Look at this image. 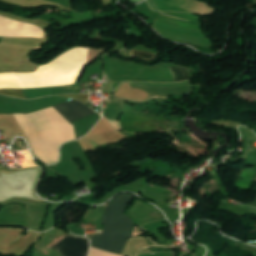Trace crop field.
Here are the masks:
<instances>
[{
    "label": "crop field",
    "instance_id": "obj_1",
    "mask_svg": "<svg viewBox=\"0 0 256 256\" xmlns=\"http://www.w3.org/2000/svg\"><path fill=\"white\" fill-rule=\"evenodd\" d=\"M131 199L132 196L119 195L116 199L107 203L102 218L104 231L100 235L92 236V247L112 253H120L125 238L132 236L134 228L131 220L122 214Z\"/></svg>",
    "mask_w": 256,
    "mask_h": 256
},
{
    "label": "crop field",
    "instance_id": "obj_2",
    "mask_svg": "<svg viewBox=\"0 0 256 256\" xmlns=\"http://www.w3.org/2000/svg\"><path fill=\"white\" fill-rule=\"evenodd\" d=\"M88 245L87 238L66 235L51 249L57 250L62 256H86Z\"/></svg>",
    "mask_w": 256,
    "mask_h": 256
},
{
    "label": "crop field",
    "instance_id": "obj_3",
    "mask_svg": "<svg viewBox=\"0 0 256 256\" xmlns=\"http://www.w3.org/2000/svg\"><path fill=\"white\" fill-rule=\"evenodd\" d=\"M0 37H41L33 27L0 16Z\"/></svg>",
    "mask_w": 256,
    "mask_h": 256
},
{
    "label": "crop field",
    "instance_id": "obj_4",
    "mask_svg": "<svg viewBox=\"0 0 256 256\" xmlns=\"http://www.w3.org/2000/svg\"><path fill=\"white\" fill-rule=\"evenodd\" d=\"M55 107L68 123H72L76 120L95 113L93 110H91L81 102L75 101L73 99L65 103L55 105Z\"/></svg>",
    "mask_w": 256,
    "mask_h": 256
},
{
    "label": "crop field",
    "instance_id": "obj_5",
    "mask_svg": "<svg viewBox=\"0 0 256 256\" xmlns=\"http://www.w3.org/2000/svg\"><path fill=\"white\" fill-rule=\"evenodd\" d=\"M161 13H163V12H161ZM164 14H168V15H171V16H174V17L185 19V20H187V22L181 21V20H177L178 18L177 19H173L174 17L173 18H169L171 16L165 17V16H168V15L161 16L163 14L159 15L157 17L156 21L200 32L199 26H198V18L197 17H195L193 15H190L188 13H173V12H169V13H164Z\"/></svg>",
    "mask_w": 256,
    "mask_h": 256
},
{
    "label": "crop field",
    "instance_id": "obj_6",
    "mask_svg": "<svg viewBox=\"0 0 256 256\" xmlns=\"http://www.w3.org/2000/svg\"><path fill=\"white\" fill-rule=\"evenodd\" d=\"M169 69H170L176 82L190 78L187 69L180 68V67H171Z\"/></svg>",
    "mask_w": 256,
    "mask_h": 256
},
{
    "label": "crop field",
    "instance_id": "obj_7",
    "mask_svg": "<svg viewBox=\"0 0 256 256\" xmlns=\"http://www.w3.org/2000/svg\"><path fill=\"white\" fill-rule=\"evenodd\" d=\"M0 93L10 97L25 98L21 89H1Z\"/></svg>",
    "mask_w": 256,
    "mask_h": 256
},
{
    "label": "crop field",
    "instance_id": "obj_8",
    "mask_svg": "<svg viewBox=\"0 0 256 256\" xmlns=\"http://www.w3.org/2000/svg\"><path fill=\"white\" fill-rule=\"evenodd\" d=\"M131 56L140 58L145 61H151L156 57V55H154V54L138 52V51H131Z\"/></svg>",
    "mask_w": 256,
    "mask_h": 256
},
{
    "label": "crop field",
    "instance_id": "obj_9",
    "mask_svg": "<svg viewBox=\"0 0 256 256\" xmlns=\"http://www.w3.org/2000/svg\"><path fill=\"white\" fill-rule=\"evenodd\" d=\"M59 96L60 97H72V98H75L77 100H81L84 103H87V98H88V95H59Z\"/></svg>",
    "mask_w": 256,
    "mask_h": 256
},
{
    "label": "crop field",
    "instance_id": "obj_10",
    "mask_svg": "<svg viewBox=\"0 0 256 256\" xmlns=\"http://www.w3.org/2000/svg\"><path fill=\"white\" fill-rule=\"evenodd\" d=\"M129 1H131V2H133V3H138V2H140V1H142V0H129Z\"/></svg>",
    "mask_w": 256,
    "mask_h": 256
}]
</instances>
